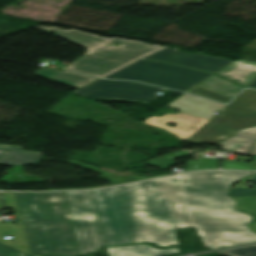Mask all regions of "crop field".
<instances>
[{
	"label": "crop field",
	"mask_w": 256,
	"mask_h": 256,
	"mask_svg": "<svg viewBox=\"0 0 256 256\" xmlns=\"http://www.w3.org/2000/svg\"><path fill=\"white\" fill-rule=\"evenodd\" d=\"M216 74L221 75L241 86H247V84L256 75V62L236 60Z\"/></svg>",
	"instance_id": "13"
},
{
	"label": "crop field",
	"mask_w": 256,
	"mask_h": 256,
	"mask_svg": "<svg viewBox=\"0 0 256 256\" xmlns=\"http://www.w3.org/2000/svg\"><path fill=\"white\" fill-rule=\"evenodd\" d=\"M3 200L5 202V207H14L17 218L20 219L19 222H21L20 225L14 224V223H1L3 226L4 236H12V240H6L5 244L9 246L16 247L20 250H23L27 253H29L22 221L20 218V214L18 211V207L16 204V200L14 197L13 192H2ZM30 254V253H29Z\"/></svg>",
	"instance_id": "12"
},
{
	"label": "crop field",
	"mask_w": 256,
	"mask_h": 256,
	"mask_svg": "<svg viewBox=\"0 0 256 256\" xmlns=\"http://www.w3.org/2000/svg\"><path fill=\"white\" fill-rule=\"evenodd\" d=\"M90 192L105 244L114 245L132 242L118 186Z\"/></svg>",
	"instance_id": "6"
},
{
	"label": "crop field",
	"mask_w": 256,
	"mask_h": 256,
	"mask_svg": "<svg viewBox=\"0 0 256 256\" xmlns=\"http://www.w3.org/2000/svg\"><path fill=\"white\" fill-rule=\"evenodd\" d=\"M160 90L162 88L134 82L98 79L74 92L87 97L147 102L157 97Z\"/></svg>",
	"instance_id": "8"
},
{
	"label": "crop field",
	"mask_w": 256,
	"mask_h": 256,
	"mask_svg": "<svg viewBox=\"0 0 256 256\" xmlns=\"http://www.w3.org/2000/svg\"><path fill=\"white\" fill-rule=\"evenodd\" d=\"M227 256H256V246L219 252Z\"/></svg>",
	"instance_id": "21"
},
{
	"label": "crop field",
	"mask_w": 256,
	"mask_h": 256,
	"mask_svg": "<svg viewBox=\"0 0 256 256\" xmlns=\"http://www.w3.org/2000/svg\"><path fill=\"white\" fill-rule=\"evenodd\" d=\"M201 84L231 98H233L243 88L215 74L203 81Z\"/></svg>",
	"instance_id": "18"
},
{
	"label": "crop field",
	"mask_w": 256,
	"mask_h": 256,
	"mask_svg": "<svg viewBox=\"0 0 256 256\" xmlns=\"http://www.w3.org/2000/svg\"><path fill=\"white\" fill-rule=\"evenodd\" d=\"M35 28L56 33L59 37L85 47L87 55L66 67V69L97 77H102L158 49V47L118 38L109 40L73 29L64 31L55 27ZM110 42H120L122 45L115 47ZM106 43L112 46L106 45Z\"/></svg>",
	"instance_id": "3"
},
{
	"label": "crop field",
	"mask_w": 256,
	"mask_h": 256,
	"mask_svg": "<svg viewBox=\"0 0 256 256\" xmlns=\"http://www.w3.org/2000/svg\"><path fill=\"white\" fill-rule=\"evenodd\" d=\"M176 50L177 49L175 48L163 47L143 58L166 61L213 73H216L217 71L232 62L222 58H214L207 55L182 53Z\"/></svg>",
	"instance_id": "9"
},
{
	"label": "crop field",
	"mask_w": 256,
	"mask_h": 256,
	"mask_svg": "<svg viewBox=\"0 0 256 256\" xmlns=\"http://www.w3.org/2000/svg\"><path fill=\"white\" fill-rule=\"evenodd\" d=\"M3 208L1 198H0V211ZM0 241L4 243V239H2V234H1V228H0Z\"/></svg>",
	"instance_id": "25"
},
{
	"label": "crop field",
	"mask_w": 256,
	"mask_h": 256,
	"mask_svg": "<svg viewBox=\"0 0 256 256\" xmlns=\"http://www.w3.org/2000/svg\"><path fill=\"white\" fill-rule=\"evenodd\" d=\"M34 74H37L39 76L52 79L51 77H55L52 80L62 82L77 88H80L96 79L87 77L81 74H77L71 71H57V70H51V69H45L42 68L39 71L35 72Z\"/></svg>",
	"instance_id": "17"
},
{
	"label": "crop field",
	"mask_w": 256,
	"mask_h": 256,
	"mask_svg": "<svg viewBox=\"0 0 256 256\" xmlns=\"http://www.w3.org/2000/svg\"><path fill=\"white\" fill-rule=\"evenodd\" d=\"M65 193L81 255L97 251L99 247L105 244L90 192Z\"/></svg>",
	"instance_id": "7"
},
{
	"label": "crop field",
	"mask_w": 256,
	"mask_h": 256,
	"mask_svg": "<svg viewBox=\"0 0 256 256\" xmlns=\"http://www.w3.org/2000/svg\"><path fill=\"white\" fill-rule=\"evenodd\" d=\"M168 121H171L177 125L173 128L163 125ZM208 121L209 120L179 112L176 115L167 114L161 117L151 116L143 122L148 125L166 130L176 135L179 139L185 140Z\"/></svg>",
	"instance_id": "10"
},
{
	"label": "crop field",
	"mask_w": 256,
	"mask_h": 256,
	"mask_svg": "<svg viewBox=\"0 0 256 256\" xmlns=\"http://www.w3.org/2000/svg\"><path fill=\"white\" fill-rule=\"evenodd\" d=\"M238 209L256 215V197H237ZM251 229L256 231V220L251 224Z\"/></svg>",
	"instance_id": "20"
},
{
	"label": "crop field",
	"mask_w": 256,
	"mask_h": 256,
	"mask_svg": "<svg viewBox=\"0 0 256 256\" xmlns=\"http://www.w3.org/2000/svg\"><path fill=\"white\" fill-rule=\"evenodd\" d=\"M252 172H191L119 186L133 242L178 245L177 228L196 227L205 247L256 241L252 216L235 210L227 194L233 182Z\"/></svg>",
	"instance_id": "1"
},
{
	"label": "crop field",
	"mask_w": 256,
	"mask_h": 256,
	"mask_svg": "<svg viewBox=\"0 0 256 256\" xmlns=\"http://www.w3.org/2000/svg\"><path fill=\"white\" fill-rule=\"evenodd\" d=\"M255 140L256 127H253L239 131L234 137L220 143V145L223 149L246 154ZM249 154L256 155V143Z\"/></svg>",
	"instance_id": "15"
},
{
	"label": "crop field",
	"mask_w": 256,
	"mask_h": 256,
	"mask_svg": "<svg viewBox=\"0 0 256 256\" xmlns=\"http://www.w3.org/2000/svg\"><path fill=\"white\" fill-rule=\"evenodd\" d=\"M249 87H255L256 88V76L253 78V80L248 84Z\"/></svg>",
	"instance_id": "24"
},
{
	"label": "crop field",
	"mask_w": 256,
	"mask_h": 256,
	"mask_svg": "<svg viewBox=\"0 0 256 256\" xmlns=\"http://www.w3.org/2000/svg\"><path fill=\"white\" fill-rule=\"evenodd\" d=\"M188 93L209 97L222 103H227L231 99L227 96L212 91L200 84L189 90Z\"/></svg>",
	"instance_id": "19"
},
{
	"label": "crop field",
	"mask_w": 256,
	"mask_h": 256,
	"mask_svg": "<svg viewBox=\"0 0 256 256\" xmlns=\"http://www.w3.org/2000/svg\"><path fill=\"white\" fill-rule=\"evenodd\" d=\"M21 147L0 145V163L35 164L41 153L21 151Z\"/></svg>",
	"instance_id": "16"
},
{
	"label": "crop field",
	"mask_w": 256,
	"mask_h": 256,
	"mask_svg": "<svg viewBox=\"0 0 256 256\" xmlns=\"http://www.w3.org/2000/svg\"><path fill=\"white\" fill-rule=\"evenodd\" d=\"M0 256H29L15 249H12L6 245L0 244ZM46 256H58V255H46Z\"/></svg>",
	"instance_id": "23"
},
{
	"label": "crop field",
	"mask_w": 256,
	"mask_h": 256,
	"mask_svg": "<svg viewBox=\"0 0 256 256\" xmlns=\"http://www.w3.org/2000/svg\"><path fill=\"white\" fill-rule=\"evenodd\" d=\"M212 74L167 63L137 60L102 78L136 80L186 92Z\"/></svg>",
	"instance_id": "4"
},
{
	"label": "crop field",
	"mask_w": 256,
	"mask_h": 256,
	"mask_svg": "<svg viewBox=\"0 0 256 256\" xmlns=\"http://www.w3.org/2000/svg\"><path fill=\"white\" fill-rule=\"evenodd\" d=\"M108 256H161L180 252L177 248L157 249L147 244L106 247Z\"/></svg>",
	"instance_id": "14"
},
{
	"label": "crop field",
	"mask_w": 256,
	"mask_h": 256,
	"mask_svg": "<svg viewBox=\"0 0 256 256\" xmlns=\"http://www.w3.org/2000/svg\"><path fill=\"white\" fill-rule=\"evenodd\" d=\"M186 141L220 142L234 136L239 130L256 126V90L246 89Z\"/></svg>",
	"instance_id": "5"
},
{
	"label": "crop field",
	"mask_w": 256,
	"mask_h": 256,
	"mask_svg": "<svg viewBox=\"0 0 256 256\" xmlns=\"http://www.w3.org/2000/svg\"><path fill=\"white\" fill-rule=\"evenodd\" d=\"M167 106L179 109L181 112L208 119L214 110H219L223 104L204 98L184 94Z\"/></svg>",
	"instance_id": "11"
},
{
	"label": "crop field",
	"mask_w": 256,
	"mask_h": 256,
	"mask_svg": "<svg viewBox=\"0 0 256 256\" xmlns=\"http://www.w3.org/2000/svg\"><path fill=\"white\" fill-rule=\"evenodd\" d=\"M256 183V174L252 180ZM230 194L233 197L237 196H256V187L254 189L232 187Z\"/></svg>",
	"instance_id": "22"
},
{
	"label": "crop field",
	"mask_w": 256,
	"mask_h": 256,
	"mask_svg": "<svg viewBox=\"0 0 256 256\" xmlns=\"http://www.w3.org/2000/svg\"><path fill=\"white\" fill-rule=\"evenodd\" d=\"M14 193L32 255H80L64 192Z\"/></svg>",
	"instance_id": "2"
}]
</instances>
